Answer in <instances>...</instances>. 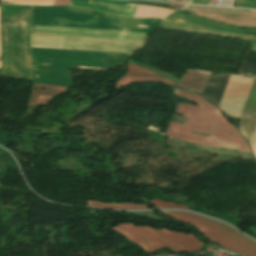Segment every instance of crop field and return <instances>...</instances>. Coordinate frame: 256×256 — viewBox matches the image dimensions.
I'll list each match as a JSON object with an SVG mask.
<instances>
[{
	"mask_svg": "<svg viewBox=\"0 0 256 256\" xmlns=\"http://www.w3.org/2000/svg\"><path fill=\"white\" fill-rule=\"evenodd\" d=\"M32 25L31 46L68 50H86L110 53L130 54L140 48L149 34L139 32L97 30L84 28L56 27L36 25L35 33L94 37L80 38L54 35L34 34ZM31 47L33 63V83H44L71 87L72 79L68 70L74 65L114 68L124 64L127 55L68 51Z\"/></svg>",
	"mask_w": 256,
	"mask_h": 256,
	"instance_id": "1",
	"label": "crop field"
},
{
	"mask_svg": "<svg viewBox=\"0 0 256 256\" xmlns=\"http://www.w3.org/2000/svg\"><path fill=\"white\" fill-rule=\"evenodd\" d=\"M174 95L192 100L201 106L179 104L176 112L188 118L185 124L170 123L167 129L170 137L200 145L251 152L237 129L230 125L214 106L196 94L176 88H174ZM190 131L208 134L210 139L206 136L191 134ZM228 132L233 134H228Z\"/></svg>",
	"mask_w": 256,
	"mask_h": 256,
	"instance_id": "2",
	"label": "crop field"
},
{
	"mask_svg": "<svg viewBox=\"0 0 256 256\" xmlns=\"http://www.w3.org/2000/svg\"><path fill=\"white\" fill-rule=\"evenodd\" d=\"M31 7L2 6L0 75L31 79L29 53Z\"/></svg>",
	"mask_w": 256,
	"mask_h": 256,
	"instance_id": "3",
	"label": "crop field"
},
{
	"mask_svg": "<svg viewBox=\"0 0 256 256\" xmlns=\"http://www.w3.org/2000/svg\"><path fill=\"white\" fill-rule=\"evenodd\" d=\"M128 240L140 245L144 252H157L169 247L175 252H194L203 242L192 234L153 229L149 226H135L128 222L111 228Z\"/></svg>",
	"mask_w": 256,
	"mask_h": 256,
	"instance_id": "4",
	"label": "crop field"
},
{
	"mask_svg": "<svg viewBox=\"0 0 256 256\" xmlns=\"http://www.w3.org/2000/svg\"><path fill=\"white\" fill-rule=\"evenodd\" d=\"M161 213L186 224H193L203 236L212 242L216 241L225 249L242 255L256 256L255 242L221 222L188 212L165 211Z\"/></svg>",
	"mask_w": 256,
	"mask_h": 256,
	"instance_id": "5",
	"label": "crop field"
},
{
	"mask_svg": "<svg viewBox=\"0 0 256 256\" xmlns=\"http://www.w3.org/2000/svg\"><path fill=\"white\" fill-rule=\"evenodd\" d=\"M178 14L179 13H172L169 16L165 17L163 22L161 23L160 27L168 28V29H174V30H182V31H191V32L213 34V35L239 37V38H243V39H246V40H256V36L243 34V33L235 32V31H225V30L214 29V28H211L209 26H205V25L199 24L197 22L187 20L184 17L179 16ZM180 14H182V13H180ZM182 15H184L188 18L194 19L196 21L208 24L210 26L240 30V29H238L236 27H232V26H222V25L212 24L208 21L200 20V19H197V18L192 17L190 15H186V14H182ZM168 18H174V19L178 20L179 22L167 20ZM240 31L256 32V30H240Z\"/></svg>",
	"mask_w": 256,
	"mask_h": 256,
	"instance_id": "6",
	"label": "crop field"
},
{
	"mask_svg": "<svg viewBox=\"0 0 256 256\" xmlns=\"http://www.w3.org/2000/svg\"><path fill=\"white\" fill-rule=\"evenodd\" d=\"M256 127V78L253 79L242 119L238 127L245 139H249L251 133Z\"/></svg>",
	"mask_w": 256,
	"mask_h": 256,
	"instance_id": "7",
	"label": "crop field"
},
{
	"mask_svg": "<svg viewBox=\"0 0 256 256\" xmlns=\"http://www.w3.org/2000/svg\"><path fill=\"white\" fill-rule=\"evenodd\" d=\"M69 5L89 8V9H93V10H97L105 13L116 14V15L125 16V17H134L136 6H137V5H131V4H126L125 6L111 5V4H105V3H101L94 0H89L87 5L70 1Z\"/></svg>",
	"mask_w": 256,
	"mask_h": 256,
	"instance_id": "8",
	"label": "crop field"
},
{
	"mask_svg": "<svg viewBox=\"0 0 256 256\" xmlns=\"http://www.w3.org/2000/svg\"><path fill=\"white\" fill-rule=\"evenodd\" d=\"M210 73L187 70L178 87L189 91L202 93L209 79Z\"/></svg>",
	"mask_w": 256,
	"mask_h": 256,
	"instance_id": "9",
	"label": "crop field"
},
{
	"mask_svg": "<svg viewBox=\"0 0 256 256\" xmlns=\"http://www.w3.org/2000/svg\"><path fill=\"white\" fill-rule=\"evenodd\" d=\"M171 12H172V10L138 5L135 17H138V18H146V17L163 18L165 15H167Z\"/></svg>",
	"mask_w": 256,
	"mask_h": 256,
	"instance_id": "10",
	"label": "crop field"
},
{
	"mask_svg": "<svg viewBox=\"0 0 256 256\" xmlns=\"http://www.w3.org/2000/svg\"><path fill=\"white\" fill-rule=\"evenodd\" d=\"M153 80H156V81H160V82H164V83H167V84H170V85H174L176 86L177 84L173 83V82H170L168 80H164V79H161V78H151V77H141V76H134V75H124L116 84V87L115 88H119L123 85H126L130 82H135V81H153Z\"/></svg>",
	"mask_w": 256,
	"mask_h": 256,
	"instance_id": "11",
	"label": "crop field"
},
{
	"mask_svg": "<svg viewBox=\"0 0 256 256\" xmlns=\"http://www.w3.org/2000/svg\"><path fill=\"white\" fill-rule=\"evenodd\" d=\"M88 206L102 207V208H113V209H148L144 205L134 204H102L96 201H87Z\"/></svg>",
	"mask_w": 256,
	"mask_h": 256,
	"instance_id": "12",
	"label": "crop field"
},
{
	"mask_svg": "<svg viewBox=\"0 0 256 256\" xmlns=\"http://www.w3.org/2000/svg\"><path fill=\"white\" fill-rule=\"evenodd\" d=\"M19 4L52 5L54 0H2ZM69 0H55L53 5H68Z\"/></svg>",
	"mask_w": 256,
	"mask_h": 256,
	"instance_id": "13",
	"label": "crop field"
},
{
	"mask_svg": "<svg viewBox=\"0 0 256 256\" xmlns=\"http://www.w3.org/2000/svg\"><path fill=\"white\" fill-rule=\"evenodd\" d=\"M34 88H53L49 90H34ZM66 87L50 86L44 84H33L32 94H46L47 92H54L51 94H59L60 92L66 90Z\"/></svg>",
	"mask_w": 256,
	"mask_h": 256,
	"instance_id": "14",
	"label": "crop field"
},
{
	"mask_svg": "<svg viewBox=\"0 0 256 256\" xmlns=\"http://www.w3.org/2000/svg\"><path fill=\"white\" fill-rule=\"evenodd\" d=\"M127 73H134V74H142V75H151V76H157L158 73H155L149 69L142 68V67H137L133 65L128 64V72Z\"/></svg>",
	"mask_w": 256,
	"mask_h": 256,
	"instance_id": "15",
	"label": "crop field"
},
{
	"mask_svg": "<svg viewBox=\"0 0 256 256\" xmlns=\"http://www.w3.org/2000/svg\"><path fill=\"white\" fill-rule=\"evenodd\" d=\"M150 203H153L156 207L158 208H177V209H188L187 206L185 205H177L175 203L172 202H163L160 200H156L154 199L153 201H151ZM152 204V205H153Z\"/></svg>",
	"mask_w": 256,
	"mask_h": 256,
	"instance_id": "16",
	"label": "crop field"
},
{
	"mask_svg": "<svg viewBox=\"0 0 256 256\" xmlns=\"http://www.w3.org/2000/svg\"><path fill=\"white\" fill-rule=\"evenodd\" d=\"M54 97L51 96H32L29 105L37 106L38 104L47 105L48 100Z\"/></svg>",
	"mask_w": 256,
	"mask_h": 256,
	"instance_id": "17",
	"label": "crop field"
},
{
	"mask_svg": "<svg viewBox=\"0 0 256 256\" xmlns=\"http://www.w3.org/2000/svg\"><path fill=\"white\" fill-rule=\"evenodd\" d=\"M132 4H144V5H151L155 7H162V8H168L171 9L168 4H161V3H151V2H128Z\"/></svg>",
	"mask_w": 256,
	"mask_h": 256,
	"instance_id": "18",
	"label": "crop field"
},
{
	"mask_svg": "<svg viewBox=\"0 0 256 256\" xmlns=\"http://www.w3.org/2000/svg\"><path fill=\"white\" fill-rule=\"evenodd\" d=\"M172 8H174L175 10L181 8V7H184L186 5H181V4H169Z\"/></svg>",
	"mask_w": 256,
	"mask_h": 256,
	"instance_id": "19",
	"label": "crop field"
},
{
	"mask_svg": "<svg viewBox=\"0 0 256 256\" xmlns=\"http://www.w3.org/2000/svg\"><path fill=\"white\" fill-rule=\"evenodd\" d=\"M252 151H253V153L255 154V156H256V141L254 142V144H253V146H252Z\"/></svg>",
	"mask_w": 256,
	"mask_h": 256,
	"instance_id": "20",
	"label": "crop field"
},
{
	"mask_svg": "<svg viewBox=\"0 0 256 256\" xmlns=\"http://www.w3.org/2000/svg\"><path fill=\"white\" fill-rule=\"evenodd\" d=\"M191 0H175L174 2H184V3H189Z\"/></svg>",
	"mask_w": 256,
	"mask_h": 256,
	"instance_id": "21",
	"label": "crop field"
},
{
	"mask_svg": "<svg viewBox=\"0 0 256 256\" xmlns=\"http://www.w3.org/2000/svg\"><path fill=\"white\" fill-rule=\"evenodd\" d=\"M163 1H172L173 2V0H163Z\"/></svg>",
	"mask_w": 256,
	"mask_h": 256,
	"instance_id": "22",
	"label": "crop field"
},
{
	"mask_svg": "<svg viewBox=\"0 0 256 256\" xmlns=\"http://www.w3.org/2000/svg\"><path fill=\"white\" fill-rule=\"evenodd\" d=\"M0 64H1V61H0Z\"/></svg>",
	"mask_w": 256,
	"mask_h": 256,
	"instance_id": "23",
	"label": "crop field"
}]
</instances>
